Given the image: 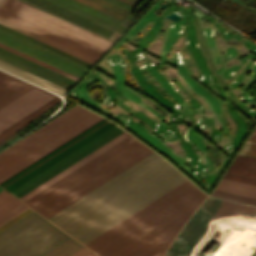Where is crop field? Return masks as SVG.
Instances as JSON below:
<instances>
[{"label":"crop field","mask_w":256,"mask_h":256,"mask_svg":"<svg viewBox=\"0 0 256 256\" xmlns=\"http://www.w3.org/2000/svg\"><path fill=\"white\" fill-rule=\"evenodd\" d=\"M185 180L152 152L48 219L85 244Z\"/></svg>","instance_id":"crop-field-1"},{"label":"crop field","mask_w":256,"mask_h":256,"mask_svg":"<svg viewBox=\"0 0 256 256\" xmlns=\"http://www.w3.org/2000/svg\"><path fill=\"white\" fill-rule=\"evenodd\" d=\"M205 195L188 180L98 236L87 246L99 256H110L195 200ZM203 196L111 256H161L180 228L203 202Z\"/></svg>","instance_id":"crop-field-2"},{"label":"crop field","mask_w":256,"mask_h":256,"mask_svg":"<svg viewBox=\"0 0 256 256\" xmlns=\"http://www.w3.org/2000/svg\"><path fill=\"white\" fill-rule=\"evenodd\" d=\"M130 136L25 203L48 218L152 152Z\"/></svg>","instance_id":"crop-field-3"},{"label":"crop field","mask_w":256,"mask_h":256,"mask_svg":"<svg viewBox=\"0 0 256 256\" xmlns=\"http://www.w3.org/2000/svg\"><path fill=\"white\" fill-rule=\"evenodd\" d=\"M90 112L76 105L0 152V185L104 120Z\"/></svg>","instance_id":"crop-field-4"},{"label":"crop field","mask_w":256,"mask_h":256,"mask_svg":"<svg viewBox=\"0 0 256 256\" xmlns=\"http://www.w3.org/2000/svg\"><path fill=\"white\" fill-rule=\"evenodd\" d=\"M123 132L105 120L1 186L20 198Z\"/></svg>","instance_id":"crop-field-5"},{"label":"crop field","mask_w":256,"mask_h":256,"mask_svg":"<svg viewBox=\"0 0 256 256\" xmlns=\"http://www.w3.org/2000/svg\"><path fill=\"white\" fill-rule=\"evenodd\" d=\"M0 17L97 59L112 43L98 35L24 4L5 0Z\"/></svg>","instance_id":"crop-field-6"},{"label":"crop field","mask_w":256,"mask_h":256,"mask_svg":"<svg viewBox=\"0 0 256 256\" xmlns=\"http://www.w3.org/2000/svg\"><path fill=\"white\" fill-rule=\"evenodd\" d=\"M30 85L0 71V104ZM60 100L61 98L32 85L0 105V146L17 136V130Z\"/></svg>","instance_id":"crop-field-7"},{"label":"crop field","mask_w":256,"mask_h":256,"mask_svg":"<svg viewBox=\"0 0 256 256\" xmlns=\"http://www.w3.org/2000/svg\"><path fill=\"white\" fill-rule=\"evenodd\" d=\"M69 238L35 212L0 234V256H42Z\"/></svg>","instance_id":"crop-field-8"},{"label":"crop field","mask_w":256,"mask_h":256,"mask_svg":"<svg viewBox=\"0 0 256 256\" xmlns=\"http://www.w3.org/2000/svg\"><path fill=\"white\" fill-rule=\"evenodd\" d=\"M223 178L256 185V159L236 155Z\"/></svg>","instance_id":"crop-field-9"},{"label":"crop field","mask_w":256,"mask_h":256,"mask_svg":"<svg viewBox=\"0 0 256 256\" xmlns=\"http://www.w3.org/2000/svg\"><path fill=\"white\" fill-rule=\"evenodd\" d=\"M127 136H129L126 132L123 133L122 135L118 136L117 138H115L114 140H112L111 142L107 143L106 145H104L103 147L99 148L98 150H96L95 152H93L92 154L88 155L87 157H85L84 159L80 160L79 162H77L76 164H74L73 166L69 167L68 169H66L65 171L61 172L60 174H58L57 176H55L54 178L50 179L49 181H47L46 183L42 184L41 186H39L38 188H36L35 190L31 191L30 193H28L27 195L23 196L22 198H20L21 200H23L24 202L27 201L28 199H30L31 197H33L34 195L38 194L39 192H41L42 190L46 189L47 187H49L50 185H52L53 183L57 182L58 180H60L61 178H63L64 176L68 175L69 173H71L72 171H74L75 169L79 168L80 166H82L83 164H85L86 162L90 161L91 159H93L94 157H96L97 155L101 154L102 152H104L105 150H107L108 148H110L111 146L115 145L116 143H118L119 141H121L122 139L126 138Z\"/></svg>","instance_id":"crop-field-10"},{"label":"crop field","mask_w":256,"mask_h":256,"mask_svg":"<svg viewBox=\"0 0 256 256\" xmlns=\"http://www.w3.org/2000/svg\"><path fill=\"white\" fill-rule=\"evenodd\" d=\"M0 69L4 70V71H7L13 75H16L22 79H25L31 83H34L42 88H45L51 92H54L60 96H62L64 93L67 92V90L61 88V87H58L50 82H47L41 78H38L32 74H29L23 70H20L12 65H9L3 61H0Z\"/></svg>","instance_id":"crop-field-11"},{"label":"crop field","mask_w":256,"mask_h":256,"mask_svg":"<svg viewBox=\"0 0 256 256\" xmlns=\"http://www.w3.org/2000/svg\"><path fill=\"white\" fill-rule=\"evenodd\" d=\"M0 23L4 24L6 26H9V27H11V28H13L15 30H18V31H20V32H22L24 34H27V35H29V36H31L33 38H36V39H38V40H40V41H42L44 43H47V44H49V45H51L53 47H56V48H58V49H60L62 51H65V52H67V53H69L71 55H74V56H76V57H78V58H80L82 60H85V61L91 63V64H93L94 61H95V59H93V58H91L89 56H86V55H84V54H82L80 52H77V51H75L73 49H70V48H68V47H66L64 45H61V44H59V43H57L55 41H52V40H50V39H48L46 37H43V36H41V35H39L37 33H34V32H32V31H30L28 29H25V28H23L21 26H18V25L14 24L12 22H9V21H7V20H5L3 18H0Z\"/></svg>","instance_id":"crop-field-12"},{"label":"crop field","mask_w":256,"mask_h":256,"mask_svg":"<svg viewBox=\"0 0 256 256\" xmlns=\"http://www.w3.org/2000/svg\"><path fill=\"white\" fill-rule=\"evenodd\" d=\"M90 252L92 251L71 238L60 246L53 249L52 251L48 252L44 256H85ZM87 256L97 255L92 252Z\"/></svg>","instance_id":"crop-field-13"},{"label":"crop field","mask_w":256,"mask_h":256,"mask_svg":"<svg viewBox=\"0 0 256 256\" xmlns=\"http://www.w3.org/2000/svg\"><path fill=\"white\" fill-rule=\"evenodd\" d=\"M33 212L35 211L28 208L22 203L14 207L7 213L0 216V233L5 231L12 225L16 224L20 220L24 219L28 215L32 214Z\"/></svg>","instance_id":"crop-field-14"},{"label":"crop field","mask_w":256,"mask_h":256,"mask_svg":"<svg viewBox=\"0 0 256 256\" xmlns=\"http://www.w3.org/2000/svg\"><path fill=\"white\" fill-rule=\"evenodd\" d=\"M215 189L256 198V186L253 185L222 179Z\"/></svg>","instance_id":"crop-field-15"},{"label":"crop field","mask_w":256,"mask_h":256,"mask_svg":"<svg viewBox=\"0 0 256 256\" xmlns=\"http://www.w3.org/2000/svg\"><path fill=\"white\" fill-rule=\"evenodd\" d=\"M3 190L0 188V191ZM19 202L17 199L12 197L10 194H8L6 191H1L0 192V215L3 213L7 212L14 206L18 205Z\"/></svg>","instance_id":"crop-field-16"},{"label":"crop field","mask_w":256,"mask_h":256,"mask_svg":"<svg viewBox=\"0 0 256 256\" xmlns=\"http://www.w3.org/2000/svg\"><path fill=\"white\" fill-rule=\"evenodd\" d=\"M238 154L256 158V128Z\"/></svg>","instance_id":"crop-field-17"},{"label":"crop field","mask_w":256,"mask_h":256,"mask_svg":"<svg viewBox=\"0 0 256 256\" xmlns=\"http://www.w3.org/2000/svg\"><path fill=\"white\" fill-rule=\"evenodd\" d=\"M212 196L232 200V201H237V202H242L246 204H251V205H256V199L254 198H249V197H244L240 195H235V194H230V193H225L221 191H216L212 193Z\"/></svg>","instance_id":"crop-field-18"},{"label":"crop field","mask_w":256,"mask_h":256,"mask_svg":"<svg viewBox=\"0 0 256 256\" xmlns=\"http://www.w3.org/2000/svg\"><path fill=\"white\" fill-rule=\"evenodd\" d=\"M0 47L5 48V49H7V50H9V51H11V52H13V53H16V54L22 56V57H25V58H27V59L33 61V62H36V63H38V64H40V65H42V66H44V67H47V68H49V69H51V70H53V71H55V72H58V73L62 74V75H64V76H67V77H69V78H71V79H73V80H75V81L78 80V78H76V77H74V76H72V75H70V74H67V73H65V72H63V71H61V70H58V69H56V68H54V67H52V66H50V65H47V64H45V63H43V62H41V61H39V60H36V59H34V58L30 57V56H27V55H25V54H23V53H21V52H19V51H16V50H14V49H12V48H10V47H8V46H5V45H3V44H1V43H0Z\"/></svg>","instance_id":"crop-field-19"},{"label":"crop field","mask_w":256,"mask_h":256,"mask_svg":"<svg viewBox=\"0 0 256 256\" xmlns=\"http://www.w3.org/2000/svg\"><path fill=\"white\" fill-rule=\"evenodd\" d=\"M254 256H256V254Z\"/></svg>","instance_id":"crop-field-20"},{"label":"crop field","mask_w":256,"mask_h":256,"mask_svg":"<svg viewBox=\"0 0 256 256\" xmlns=\"http://www.w3.org/2000/svg\"><path fill=\"white\" fill-rule=\"evenodd\" d=\"M2 0H0V2H1Z\"/></svg>","instance_id":"crop-field-21"}]
</instances>
